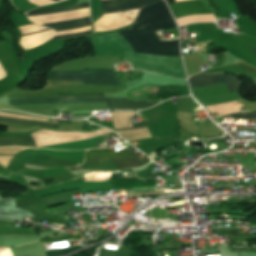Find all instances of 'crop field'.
I'll return each instance as SVG.
<instances>
[{
  "label": "crop field",
  "mask_w": 256,
  "mask_h": 256,
  "mask_svg": "<svg viewBox=\"0 0 256 256\" xmlns=\"http://www.w3.org/2000/svg\"><path fill=\"white\" fill-rule=\"evenodd\" d=\"M177 26L167 5L159 1L140 11L132 28L119 33L135 52L180 56L178 40H159L154 31Z\"/></svg>",
  "instance_id": "crop-field-1"
},
{
  "label": "crop field",
  "mask_w": 256,
  "mask_h": 256,
  "mask_svg": "<svg viewBox=\"0 0 256 256\" xmlns=\"http://www.w3.org/2000/svg\"><path fill=\"white\" fill-rule=\"evenodd\" d=\"M46 80H83V83L120 84L113 76V70L49 72Z\"/></svg>",
  "instance_id": "crop-field-2"
},
{
  "label": "crop field",
  "mask_w": 256,
  "mask_h": 256,
  "mask_svg": "<svg viewBox=\"0 0 256 256\" xmlns=\"http://www.w3.org/2000/svg\"><path fill=\"white\" fill-rule=\"evenodd\" d=\"M107 160H113L118 168L139 166L149 161L147 158L141 162L127 149L121 150L119 152L109 151L108 149L92 150L86 152L85 163Z\"/></svg>",
  "instance_id": "crop-field-3"
},
{
  "label": "crop field",
  "mask_w": 256,
  "mask_h": 256,
  "mask_svg": "<svg viewBox=\"0 0 256 256\" xmlns=\"http://www.w3.org/2000/svg\"><path fill=\"white\" fill-rule=\"evenodd\" d=\"M86 7H89V2L83 3V4H77V5L64 6V7L30 11L27 13V16L60 12V11L73 10V9H80V8H86ZM44 25L52 28L55 31L76 28V27H82V26H88V25H90V17L69 20V21L56 22V23H50V24H44ZM89 33H90V31L79 33V34H73V35L58 36V37L52 38V40L88 35Z\"/></svg>",
  "instance_id": "crop-field-4"
},
{
  "label": "crop field",
  "mask_w": 256,
  "mask_h": 256,
  "mask_svg": "<svg viewBox=\"0 0 256 256\" xmlns=\"http://www.w3.org/2000/svg\"><path fill=\"white\" fill-rule=\"evenodd\" d=\"M210 7L213 13L220 12L219 8L215 5L212 0H204ZM203 0H188L185 2H179L169 4L175 18L182 17L185 15L193 14H208L212 13Z\"/></svg>",
  "instance_id": "crop-field-5"
},
{
  "label": "crop field",
  "mask_w": 256,
  "mask_h": 256,
  "mask_svg": "<svg viewBox=\"0 0 256 256\" xmlns=\"http://www.w3.org/2000/svg\"><path fill=\"white\" fill-rule=\"evenodd\" d=\"M191 88L225 83L230 92L238 91L240 84L237 79L232 76L215 74L189 78Z\"/></svg>",
  "instance_id": "crop-field-6"
},
{
  "label": "crop field",
  "mask_w": 256,
  "mask_h": 256,
  "mask_svg": "<svg viewBox=\"0 0 256 256\" xmlns=\"http://www.w3.org/2000/svg\"><path fill=\"white\" fill-rule=\"evenodd\" d=\"M159 0H105L102 1V14L145 7Z\"/></svg>",
  "instance_id": "crop-field-7"
},
{
  "label": "crop field",
  "mask_w": 256,
  "mask_h": 256,
  "mask_svg": "<svg viewBox=\"0 0 256 256\" xmlns=\"http://www.w3.org/2000/svg\"><path fill=\"white\" fill-rule=\"evenodd\" d=\"M60 97L9 100L10 105L57 102ZM105 102L104 97H62L59 103Z\"/></svg>",
  "instance_id": "crop-field-8"
},
{
  "label": "crop field",
  "mask_w": 256,
  "mask_h": 256,
  "mask_svg": "<svg viewBox=\"0 0 256 256\" xmlns=\"http://www.w3.org/2000/svg\"><path fill=\"white\" fill-rule=\"evenodd\" d=\"M24 217L33 218V216L29 212L25 210L16 209L15 198L3 199L0 197L1 219L22 221Z\"/></svg>",
  "instance_id": "crop-field-9"
},
{
  "label": "crop field",
  "mask_w": 256,
  "mask_h": 256,
  "mask_svg": "<svg viewBox=\"0 0 256 256\" xmlns=\"http://www.w3.org/2000/svg\"><path fill=\"white\" fill-rule=\"evenodd\" d=\"M109 109H145L158 103H150L145 101H129L126 98H106Z\"/></svg>",
  "instance_id": "crop-field-10"
},
{
  "label": "crop field",
  "mask_w": 256,
  "mask_h": 256,
  "mask_svg": "<svg viewBox=\"0 0 256 256\" xmlns=\"http://www.w3.org/2000/svg\"><path fill=\"white\" fill-rule=\"evenodd\" d=\"M115 189L156 186L158 181L145 182L132 177L109 180Z\"/></svg>",
  "instance_id": "crop-field-11"
},
{
  "label": "crop field",
  "mask_w": 256,
  "mask_h": 256,
  "mask_svg": "<svg viewBox=\"0 0 256 256\" xmlns=\"http://www.w3.org/2000/svg\"><path fill=\"white\" fill-rule=\"evenodd\" d=\"M7 145H20V146H26V147H33L30 134L26 136H20V137L0 138V146H7Z\"/></svg>",
  "instance_id": "crop-field-12"
},
{
  "label": "crop field",
  "mask_w": 256,
  "mask_h": 256,
  "mask_svg": "<svg viewBox=\"0 0 256 256\" xmlns=\"http://www.w3.org/2000/svg\"><path fill=\"white\" fill-rule=\"evenodd\" d=\"M0 122L27 125V126L37 125V126H42V127H47V128L58 129V125L47 124V123H43V122L27 121V120H18V119H10V118L0 117Z\"/></svg>",
  "instance_id": "crop-field-13"
},
{
  "label": "crop field",
  "mask_w": 256,
  "mask_h": 256,
  "mask_svg": "<svg viewBox=\"0 0 256 256\" xmlns=\"http://www.w3.org/2000/svg\"><path fill=\"white\" fill-rule=\"evenodd\" d=\"M70 239H76L78 241L83 240V236L81 233L79 234H74V235H68V236H56V237H49L46 239L42 240L43 244L46 243H52V242H59V241H65V240H70Z\"/></svg>",
  "instance_id": "crop-field-14"
},
{
  "label": "crop field",
  "mask_w": 256,
  "mask_h": 256,
  "mask_svg": "<svg viewBox=\"0 0 256 256\" xmlns=\"http://www.w3.org/2000/svg\"><path fill=\"white\" fill-rule=\"evenodd\" d=\"M225 117H233L236 119H250V118H256V111L248 112V113H237Z\"/></svg>",
  "instance_id": "crop-field-15"
},
{
  "label": "crop field",
  "mask_w": 256,
  "mask_h": 256,
  "mask_svg": "<svg viewBox=\"0 0 256 256\" xmlns=\"http://www.w3.org/2000/svg\"><path fill=\"white\" fill-rule=\"evenodd\" d=\"M78 248H80V246L75 247V248H67V249L49 251V252H46V254H47V256H60V255H63L65 253L72 252V251H74V250H76Z\"/></svg>",
  "instance_id": "crop-field-16"
},
{
  "label": "crop field",
  "mask_w": 256,
  "mask_h": 256,
  "mask_svg": "<svg viewBox=\"0 0 256 256\" xmlns=\"http://www.w3.org/2000/svg\"><path fill=\"white\" fill-rule=\"evenodd\" d=\"M143 127H146V126L136 127V128H143ZM130 129H135V128H130ZM124 130H128V129H124ZM118 131H120V130H118Z\"/></svg>",
  "instance_id": "crop-field-17"
},
{
  "label": "crop field",
  "mask_w": 256,
  "mask_h": 256,
  "mask_svg": "<svg viewBox=\"0 0 256 256\" xmlns=\"http://www.w3.org/2000/svg\"><path fill=\"white\" fill-rule=\"evenodd\" d=\"M167 3H172V2H175V0H166Z\"/></svg>",
  "instance_id": "crop-field-18"
},
{
  "label": "crop field",
  "mask_w": 256,
  "mask_h": 256,
  "mask_svg": "<svg viewBox=\"0 0 256 256\" xmlns=\"http://www.w3.org/2000/svg\"><path fill=\"white\" fill-rule=\"evenodd\" d=\"M249 48H251V47H249ZM253 51H254V53H255V55H256V49L255 48H251ZM252 51V52H253Z\"/></svg>",
  "instance_id": "crop-field-19"
},
{
  "label": "crop field",
  "mask_w": 256,
  "mask_h": 256,
  "mask_svg": "<svg viewBox=\"0 0 256 256\" xmlns=\"http://www.w3.org/2000/svg\"><path fill=\"white\" fill-rule=\"evenodd\" d=\"M8 154H14V153H8ZM8 154H0V155H8Z\"/></svg>",
  "instance_id": "crop-field-20"
},
{
  "label": "crop field",
  "mask_w": 256,
  "mask_h": 256,
  "mask_svg": "<svg viewBox=\"0 0 256 256\" xmlns=\"http://www.w3.org/2000/svg\"><path fill=\"white\" fill-rule=\"evenodd\" d=\"M54 1H58V0H54Z\"/></svg>",
  "instance_id": "crop-field-21"
},
{
  "label": "crop field",
  "mask_w": 256,
  "mask_h": 256,
  "mask_svg": "<svg viewBox=\"0 0 256 256\" xmlns=\"http://www.w3.org/2000/svg\"><path fill=\"white\" fill-rule=\"evenodd\" d=\"M49 30V29H48ZM45 31V30H44Z\"/></svg>",
  "instance_id": "crop-field-22"
}]
</instances>
